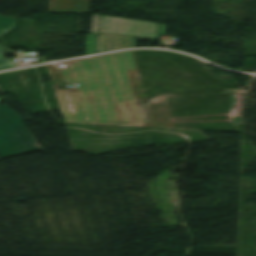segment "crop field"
<instances>
[{"label":"crop field","instance_id":"412701ff","mask_svg":"<svg viewBox=\"0 0 256 256\" xmlns=\"http://www.w3.org/2000/svg\"><path fill=\"white\" fill-rule=\"evenodd\" d=\"M114 106L81 101L73 122L110 124Z\"/></svg>","mask_w":256,"mask_h":256},{"label":"crop field","instance_id":"8a807250","mask_svg":"<svg viewBox=\"0 0 256 256\" xmlns=\"http://www.w3.org/2000/svg\"><path fill=\"white\" fill-rule=\"evenodd\" d=\"M73 68L63 69L69 83L78 81L80 91L95 88L98 102L113 104L131 100L132 94L126 70H137L132 52H123L71 61Z\"/></svg>","mask_w":256,"mask_h":256},{"label":"crop field","instance_id":"d8731c3e","mask_svg":"<svg viewBox=\"0 0 256 256\" xmlns=\"http://www.w3.org/2000/svg\"><path fill=\"white\" fill-rule=\"evenodd\" d=\"M98 34H87L86 36V55L96 53Z\"/></svg>","mask_w":256,"mask_h":256},{"label":"crop field","instance_id":"ac0d7876","mask_svg":"<svg viewBox=\"0 0 256 256\" xmlns=\"http://www.w3.org/2000/svg\"><path fill=\"white\" fill-rule=\"evenodd\" d=\"M23 121L7 104L0 105L1 158L42 150Z\"/></svg>","mask_w":256,"mask_h":256},{"label":"crop field","instance_id":"f4fd0767","mask_svg":"<svg viewBox=\"0 0 256 256\" xmlns=\"http://www.w3.org/2000/svg\"><path fill=\"white\" fill-rule=\"evenodd\" d=\"M90 0H50L51 13H88Z\"/></svg>","mask_w":256,"mask_h":256},{"label":"crop field","instance_id":"e52e79f7","mask_svg":"<svg viewBox=\"0 0 256 256\" xmlns=\"http://www.w3.org/2000/svg\"><path fill=\"white\" fill-rule=\"evenodd\" d=\"M16 18L3 17L0 16V36L7 33L9 30L15 27ZM2 48L0 47V70L10 69L17 67L13 60H7L2 53Z\"/></svg>","mask_w":256,"mask_h":256},{"label":"crop field","instance_id":"34b2d1b8","mask_svg":"<svg viewBox=\"0 0 256 256\" xmlns=\"http://www.w3.org/2000/svg\"><path fill=\"white\" fill-rule=\"evenodd\" d=\"M168 25L92 14L90 32L153 38Z\"/></svg>","mask_w":256,"mask_h":256},{"label":"crop field","instance_id":"dd49c442","mask_svg":"<svg viewBox=\"0 0 256 256\" xmlns=\"http://www.w3.org/2000/svg\"><path fill=\"white\" fill-rule=\"evenodd\" d=\"M136 38L99 34L97 53L135 47Z\"/></svg>","mask_w":256,"mask_h":256}]
</instances>
